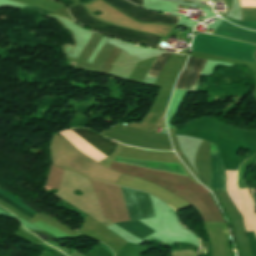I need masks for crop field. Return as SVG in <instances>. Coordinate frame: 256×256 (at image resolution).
Listing matches in <instances>:
<instances>
[{
  "label": "crop field",
  "mask_w": 256,
  "mask_h": 256,
  "mask_svg": "<svg viewBox=\"0 0 256 256\" xmlns=\"http://www.w3.org/2000/svg\"><path fill=\"white\" fill-rule=\"evenodd\" d=\"M256 46L209 34H197L192 41L193 51L255 62L253 53Z\"/></svg>",
  "instance_id": "8a807250"
},
{
  "label": "crop field",
  "mask_w": 256,
  "mask_h": 256,
  "mask_svg": "<svg viewBox=\"0 0 256 256\" xmlns=\"http://www.w3.org/2000/svg\"><path fill=\"white\" fill-rule=\"evenodd\" d=\"M125 192L133 220L155 216L147 193L130 188H125ZM116 225L139 240L149 237L157 232L136 220L117 223Z\"/></svg>",
  "instance_id": "ac0d7876"
},
{
  "label": "crop field",
  "mask_w": 256,
  "mask_h": 256,
  "mask_svg": "<svg viewBox=\"0 0 256 256\" xmlns=\"http://www.w3.org/2000/svg\"><path fill=\"white\" fill-rule=\"evenodd\" d=\"M72 17L80 24L90 27L98 32L115 36L118 38L138 42L140 44L156 47L159 40L158 37L131 32L122 28L112 27L106 24L99 23L90 18L83 10L82 6H75L69 9Z\"/></svg>",
  "instance_id": "34b2d1b8"
},
{
  "label": "crop field",
  "mask_w": 256,
  "mask_h": 256,
  "mask_svg": "<svg viewBox=\"0 0 256 256\" xmlns=\"http://www.w3.org/2000/svg\"><path fill=\"white\" fill-rule=\"evenodd\" d=\"M200 180L211 191H226V175L219 151L211 143L210 158L196 163Z\"/></svg>",
  "instance_id": "412701ff"
},
{
  "label": "crop field",
  "mask_w": 256,
  "mask_h": 256,
  "mask_svg": "<svg viewBox=\"0 0 256 256\" xmlns=\"http://www.w3.org/2000/svg\"><path fill=\"white\" fill-rule=\"evenodd\" d=\"M113 6L119 8L126 14L146 22H158V23H166V24H173L176 25L179 17L175 16H167L161 13H155L151 11H147L144 9H141L135 5H132L124 0H106ZM105 1V2H106ZM108 3V4H109Z\"/></svg>",
  "instance_id": "f4fd0767"
},
{
  "label": "crop field",
  "mask_w": 256,
  "mask_h": 256,
  "mask_svg": "<svg viewBox=\"0 0 256 256\" xmlns=\"http://www.w3.org/2000/svg\"><path fill=\"white\" fill-rule=\"evenodd\" d=\"M205 63V60L190 57L188 64L181 73L175 88L192 90Z\"/></svg>",
  "instance_id": "dd49c442"
},
{
  "label": "crop field",
  "mask_w": 256,
  "mask_h": 256,
  "mask_svg": "<svg viewBox=\"0 0 256 256\" xmlns=\"http://www.w3.org/2000/svg\"><path fill=\"white\" fill-rule=\"evenodd\" d=\"M214 34L238 40H243L247 42H252L256 44V32L241 29L224 20Z\"/></svg>",
  "instance_id": "e52e79f7"
},
{
  "label": "crop field",
  "mask_w": 256,
  "mask_h": 256,
  "mask_svg": "<svg viewBox=\"0 0 256 256\" xmlns=\"http://www.w3.org/2000/svg\"><path fill=\"white\" fill-rule=\"evenodd\" d=\"M75 133H77L79 136L84 138L86 141L91 143L93 146H95L97 149L105 153L106 155H110L115 147L116 144L104 139L101 135L85 130V129H71Z\"/></svg>",
  "instance_id": "d8731c3e"
},
{
  "label": "crop field",
  "mask_w": 256,
  "mask_h": 256,
  "mask_svg": "<svg viewBox=\"0 0 256 256\" xmlns=\"http://www.w3.org/2000/svg\"><path fill=\"white\" fill-rule=\"evenodd\" d=\"M0 190H2V189H0ZM2 191H3V190H2ZM2 191H0V193L3 194L5 197H7V198H8L9 200H11L12 202H14L15 204H17V205L23 207L24 209H26L27 211L31 212L32 214H35V213H36V212L32 211L31 209L27 208L26 206H24L23 203L20 202V201H19L17 198H15L14 196H12V195L9 196L10 194L7 195V194H8L7 192L3 191V192H5V193H7V194H5V193H3ZM4 196L0 195V199L3 200V201H5V202L8 203L9 205L13 206V207L16 208L17 210L21 211L22 213H24V214H26V215H28V216H30V217L33 218L34 215H32L31 213L27 212V211L24 210L23 208H21V207L15 205L14 203H12L11 201H9V200H8L7 198H5Z\"/></svg>",
  "instance_id": "5a996713"
},
{
  "label": "crop field",
  "mask_w": 256,
  "mask_h": 256,
  "mask_svg": "<svg viewBox=\"0 0 256 256\" xmlns=\"http://www.w3.org/2000/svg\"><path fill=\"white\" fill-rule=\"evenodd\" d=\"M222 16L224 19L230 21V22H233L237 25H240L242 27H246V28H250V29H255L256 30V22H250V21H239V20H233V19H230L224 15H220Z\"/></svg>",
  "instance_id": "3316defc"
},
{
  "label": "crop field",
  "mask_w": 256,
  "mask_h": 256,
  "mask_svg": "<svg viewBox=\"0 0 256 256\" xmlns=\"http://www.w3.org/2000/svg\"><path fill=\"white\" fill-rule=\"evenodd\" d=\"M154 81H155L154 78L145 77V79L143 80V83H147V84L153 85Z\"/></svg>",
  "instance_id": "28ad6ade"
},
{
  "label": "crop field",
  "mask_w": 256,
  "mask_h": 256,
  "mask_svg": "<svg viewBox=\"0 0 256 256\" xmlns=\"http://www.w3.org/2000/svg\"><path fill=\"white\" fill-rule=\"evenodd\" d=\"M129 1L141 6V0H129Z\"/></svg>",
  "instance_id": "d1516ede"
},
{
  "label": "crop field",
  "mask_w": 256,
  "mask_h": 256,
  "mask_svg": "<svg viewBox=\"0 0 256 256\" xmlns=\"http://www.w3.org/2000/svg\"><path fill=\"white\" fill-rule=\"evenodd\" d=\"M253 198H254V202H255V205H256V193L253 192Z\"/></svg>",
  "instance_id": "22f410ed"
},
{
  "label": "crop field",
  "mask_w": 256,
  "mask_h": 256,
  "mask_svg": "<svg viewBox=\"0 0 256 256\" xmlns=\"http://www.w3.org/2000/svg\"><path fill=\"white\" fill-rule=\"evenodd\" d=\"M250 224H251V229H252V231H254V230H253V226H252V223H251V222H250Z\"/></svg>",
  "instance_id": "cbeb9de0"
},
{
  "label": "crop field",
  "mask_w": 256,
  "mask_h": 256,
  "mask_svg": "<svg viewBox=\"0 0 256 256\" xmlns=\"http://www.w3.org/2000/svg\"><path fill=\"white\" fill-rule=\"evenodd\" d=\"M255 58H256V54H255Z\"/></svg>",
  "instance_id": "5142ce71"
}]
</instances>
